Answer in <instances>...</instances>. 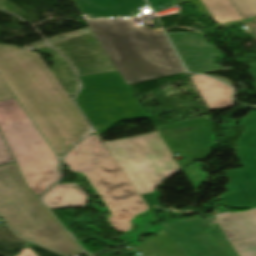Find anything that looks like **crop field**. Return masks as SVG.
I'll list each match as a JSON object with an SVG mask.
<instances>
[{"label": "crop field", "mask_w": 256, "mask_h": 256, "mask_svg": "<svg viewBox=\"0 0 256 256\" xmlns=\"http://www.w3.org/2000/svg\"><path fill=\"white\" fill-rule=\"evenodd\" d=\"M95 135L73 148L63 161L72 172H81L99 192L110 215L107 217L116 232L131 229L130 220L148 209L100 140L96 150Z\"/></svg>", "instance_id": "3"}, {"label": "crop field", "mask_w": 256, "mask_h": 256, "mask_svg": "<svg viewBox=\"0 0 256 256\" xmlns=\"http://www.w3.org/2000/svg\"><path fill=\"white\" fill-rule=\"evenodd\" d=\"M184 1L196 2V1H205V0H184Z\"/></svg>", "instance_id": "29"}, {"label": "crop field", "mask_w": 256, "mask_h": 256, "mask_svg": "<svg viewBox=\"0 0 256 256\" xmlns=\"http://www.w3.org/2000/svg\"><path fill=\"white\" fill-rule=\"evenodd\" d=\"M172 151L181 152V167L203 160L209 153L213 135L208 116L156 127Z\"/></svg>", "instance_id": "9"}, {"label": "crop field", "mask_w": 256, "mask_h": 256, "mask_svg": "<svg viewBox=\"0 0 256 256\" xmlns=\"http://www.w3.org/2000/svg\"><path fill=\"white\" fill-rule=\"evenodd\" d=\"M173 5H176V3H174L173 1H169V2H167V3H163V4H161V5L155 6V7H153L152 9L154 10V12H156V11L165 9V8H167V7L173 6Z\"/></svg>", "instance_id": "23"}, {"label": "crop field", "mask_w": 256, "mask_h": 256, "mask_svg": "<svg viewBox=\"0 0 256 256\" xmlns=\"http://www.w3.org/2000/svg\"><path fill=\"white\" fill-rule=\"evenodd\" d=\"M0 216L28 240L67 255L81 253L26 186L15 163L0 166Z\"/></svg>", "instance_id": "4"}, {"label": "crop field", "mask_w": 256, "mask_h": 256, "mask_svg": "<svg viewBox=\"0 0 256 256\" xmlns=\"http://www.w3.org/2000/svg\"><path fill=\"white\" fill-rule=\"evenodd\" d=\"M240 126L256 129V112H250Z\"/></svg>", "instance_id": "22"}, {"label": "crop field", "mask_w": 256, "mask_h": 256, "mask_svg": "<svg viewBox=\"0 0 256 256\" xmlns=\"http://www.w3.org/2000/svg\"><path fill=\"white\" fill-rule=\"evenodd\" d=\"M216 216L240 256H256V209Z\"/></svg>", "instance_id": "10"}, {"label": "crop field", "mask_w": 256, "mask_h": 256, "mask_svg": "<svg viewBox=\"0 0 256 256\" xmlns=\"http://www.w3.org/2000/svg\"><path fill=\"white\" fill-rule=\"evenodd\" d=\"M250 74L254 78V85L256 87V66H250Z\"/></svg>", "instance_id": "25"}, {"label": "crop field", "mask_w": 256, "mask_h": 256, "mask_svg": "<svg viewBox=\"0 0 256 256\" xmlns=\"http://www.w3.org/2000/svg\"><path fill=\"white\" fill-rule=\"evenodd\" d=\"M50 72L37 52L0 45L1 78L61 155L91 129Z\"/></svg>", "instance_id": "1"}, {"label": "crop field", "mask_w": 256, "mask_h": 256, "mask_svg": "<svg viewBox=\"0 0 256 256\" xmlns=\"http://www.w3.org/2000/svg\"><path fill=\"white\" fill-rule=\"evenodd\" d=\"M48 189V188H47ZM47 189H35V190H32L35 194H38V195H41L45 190Z\"/></svg>", "instance_id": "28"}, {"label": "crop field", "mask_w": 256, "mask_h": 256, "mask_svg": "<svg viewBox=\"0 0 256 256\" xmlns=\"http://www.w3.org/2000/svg\"><path fill=\"white\" fill-rule=\"evenodd\" d=\"M25 240L15 235L4 224L0 226V256H13L26 247Z\"/></svg>", "instance_id": "17"}, {"label": "crop field", "mask_w": 256, "mask_h": 256, "mask_svg": "<svg viewBox=\"0 0 256 256\" xmlns=\"http://www.w3.org/2000/svg\"><path fill=\"white\" fill-rule=\"evenodd\" d=\"M166 1H169V0H148V2L150 3L151 7H153L155 5H158V4H161L163 2H166Z\"/></svg>", "instance_id": "26"}, {"label": "crop field", "mask_w": 256, "mask_h": 256, "mask_svg": "<svg viewBox=\"0 0 256 256\" xmlns=\"http://www.w3.org/2000/svg\"><path fill=\"white\" fill-rule=\"evenodd\" d=\"M127 85L185 72L160 28L132 19L86 20Z\"/></svg>", "instance_id": "2"}, {"label": "crop field", "mask_w": 256, "mask_h": 256, "mask_svg": "<svg viewBox=\"0 0 256 256\" xmlns=\"http://www.w3.org/2000/svg\"><path fill=\"white\" fill-rule=\"evenodd\" d=\"M13 162V159L0 135V165Z\"/></svg>", "instance_id": "19"}, {"label": "crop field", "mask_w": 256, "mask_h": 256, "mask_svg": "<svg viewBox=\"0 0 256 256\" xmlns=\"http://www.w3.org/2000/svg\"><path fill=\"white\" fill-rule=\"evenodd\" d=\"M139 194L154 192L178 166L157 134L105 143Z\"/></svg>", "instance_id": "7"}, {"label": "crop field", "mask_w": 256, "mask_h": 256, "mask_svg": "<svg viewBox=\"0 0 256 256\" xmlns=\"http://www.w3.org/2000/svg\"><path fill=\"white\" fill-rule=\"evenodd\" d=\"M161 231L162 234L152 239L145 240L143 244L138 245V248L143 255L149 256L151 254H156L158 256H182L164 229Z\"/></svg>", "instance_id": "16"}, {"label": "crop field", "mask_w": 256, "mask_h": 256, "mask_svg": "<svg viewBox=\"0 0 256 256\" xmlns=\"http://www.w3.org/2000/svg\"><path fill=\"white\" fill-rule=\"evenodd\" d=\"M81 79L84 88L76 101L100 135L126 119L147 117L118 71Z\"/></svg>", "instance_id": "6"}, {"label": "crop field", "mask_w": 256, "mask_h": 256, "mask_svg": "<svg viewBox=\"0 0 256 256\" xmlns=\"http://www.w3.org/2000/svg\"><path fill=\"white\" fill-rule=\"evenodd\" d=\"M15 98L3 80L0 78V100Z\"/></svg>", "instance_id": "21"}, {"label": "crop field", "mask_w": 256, "mask_h": 256, "mask_svg": "<svg viewBox=\"0 0 256 256\" xmlns=\"http://www.w3.org/2000/svg\"><path fill=\"white\" fill-rule=\"evenodd\" d=\"M235 152L256 190V130L247 128Z\"/></svg>", "instance_id": "15"}, {"label": "crop field", "mask_w": 256, "mask_h": 256, "mask_svg": "<svg viewBox=\"0 0 256 256\" xmlns=\"http://www.w3.org/2000/svg\"><path fill=\"white\" fill-rule=\"evenodd\" d=\"M210 110L233 107L232 89L210 77L195 75L190 77Z\"/></svg>", "instance_id": "12"}, {"label": "crop field", "mask_w": 256, "mask_h": 256, "mask_svg": "<svg viewBox=\"0 0 256 256\" xmlns=\"http://www.w3.org/2000/svg\"><path fill=\"white\" fill-rule=\"evenodd\" d=\"M18 256H37L30 248L23 249Z\"/></svg>", "instance_id": "24"}, {"label": "crop field", "mask_w": 256, "mask_h": 256, "mask_svg": "<svg viewBox=\"0 0 256 256\" xmlns=\"http://www.w3.org/2000/svg\"><path fill=\"white\" fill-rule=\"evenodd\" d=\"M193 4L198 12L209 16L217 23L215 27L243 21L229 0H214Z\"/></svg>", "instance_id": "14"}, {"label": "crop field", "mask_w": 256, "mask_h": 256, "mask_svg": "<svg viewBox=\"0 0 256 256\" xmlns=\"http://www.w3.org/2000/svg\"><path fill=\"white\" fill-rule=\"evenodd\" d=\"M42 199L49 209L85 207L88 200L76 184L56 185Z\"/></svg>", "instance_id": "13"}, {"label": "crop field", "mask_w": 256, "mask_h": 256, "mask_svg": "<svg viewBox=\"0 0 256 256\" xmlns=\"http://www.w3.org/2000/svg\"><path fill=\"white\" fill-rule=\"evenodd\" d=\"M211 76H214V77H216V78H218V79H220V80H222V81L228 83L229 85L233 86L232 82L228 81V80L225 79V78H222V77L217 76V75H211ZM233 87H234V86H233Z\"/></svg>", "instance_id": "27"}, {"label": "crop field", "mask_w": 256, "mask_h": 256, "mask_svg": "<svg viewBox=\"0 0 256 256\" xmlns=\"http://www.w3.org/2000/svg\"><path fill=\"white\" fill-rule=\"evenodd\" d=\"M30 248L38 255V256H64L53 252L51 250L45 249L43 247L37 246L35 244L30 243Z\"/></svg>", "instance_id": "20"}, {"label": "crop field", "mask_w": 256, "mask_h": 256, "mask_svg": "<svg viewBox=\"0 0 256 256\" xmlns=\"http://www.w3.org/2000/svg\"><path fill=\"white\" fill-rule=\"evenodd\" d=\"M162 225L183 256H237L215 222L196 216Z\"/></svg>", "instance_id": "8"}, {"label": "crop field", "mask_w": 256, "mask_h": 256, "mask_svg": "<svg viewBox=\"0 0 256 256\" xmlns=\"http://www.w3.org/2000/svg\"><path fill=\"white\" fill-rule=\"evenodd\" d=\"M83 18L136 17L144 0H72Z\"/></svg>", "instance_id": "11"}, {"label": "crop field", "mask_w": 256, "mask_h": 256, "mask_svg": "<svg viewBox=\"0 0 256 256\" xmlns=\"http://www.w3.org/2000/svg\"><path fill=\"white\" fill-rule=\"evenodd\" d=\"M96 146H97V149H98V144L95 142Z\"/></svg>", "instance_id": "30"}, {"label": "crop field", "mask_w": 256, "mask_h": 256, "mask_svg": "<svg viewBox=\"0 0 256 256\" xmlns=\"http://www.w3.org/2000/svg\"><path fill=\"white\" fill-rule=\"evenodd\" d=\"M0 130L31 189L47 188L58 180L56 155L14 99L0 101Z\"/></svg>", "instance_id": "5"}, {"label": "crop field", "mask_w": 256, "mask_h": 256, "mask_svg": "<svg viewBox=\"0 0 256 256\" xmlns=\"http://www.w3.org/2000/svg\"><path fill=\"white\" fill-rule=\"evenodd\" d=\"M243 19L256 17V0H230Z\"/></svg>", "instance_id": "18"}]
</instances>
